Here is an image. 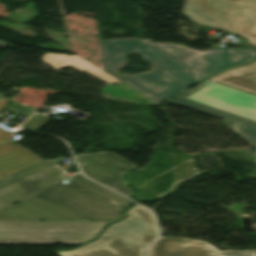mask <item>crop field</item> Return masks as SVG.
<instances>
[{"label":"crop field","instance_id":"3","mask_svg":"<svg viewBox=\"0 0 256 256\" xmlns=\"http://www.w3.org/2000/svg\"><path fill=\"white\" fill-rule=\"evenodd\" d=\"M168 102L233 121V132L256 147V96L205 80Z\"/></svg>","mask_w":256,"mask_h":256},{"label":"crop field","instance_id":"4","mask_svg":"<svg viewBox=\"0 0 256 256\" xmlns=\"http://www.w3.org/2000/svg\"><path fill=\"white\" fill-rule=\"evenodd\" d=\"M157 237L153 217L135 205L128 218L109 226L98 240L71 251H58L59 256H142L147 243Z\"/></svg>","mask_w":256,"mask_h":256},{"label":"crop field","instance_id":"16","mask_svg":"<svg viewBox=\"0 0 256 256\" xmlns=\"http://www.w3.org/2000/svg\"><path fill=\"white\" fill-rule=\"evenodd\" d=\"M10 135H11V133H9L3 129H0V142L8 140Z\"/></svg>","mask_w":256,"mask_h":256},{"label":"crop field","instance_id":"17","mask_svg":"<svg viewBox=\"0 0 256 256\" xmlns=\"http://www.w3.org/2000/svg\"><path fill=\"white\" fill-rule=\"evenodd\" d=\"M8 100H9V98H2V99L0 100V110H1V108L5 105V103H6Z\"/></svg>","mask_w":256,"mask_h":256},{"label":"crop field","instance_id":"12","mask_svg":"<svg viewBox=\"0 0 256 256\" xmlns=\"http://www.w3.org/2000/svg\"><path fill=\"white\" fill-rule=\"evenodd\" d=\"M41 60L54 67L56 71L64 67L70 66L77 70L89 72L90 74L107 84L119 82L116 80V78L104 73L103 71L91 65L79 56H67L62 54L46 53L42 56Z\"/></svg>","mask_w":256,"mask_h":256},{"label":"crop field","instance_id":"10","mask_svg":"<svg viewBox=\"0 0 256 256\" xmlns=\"http://www.w3.org/2000/svg\"><path fill=\"white\" fill-rule=\"evenodd\" d=\"M41 160L14 141L0 143V179Z\"/></svg>","mask_w":256,"mask_h":256},{"label":"crop field","instance_id":"14","mask_svg":"<svg viewBox=\"0 0 256 256\" xmlns=\"http://www.w3.org/2000/svg\"><path fill=\"white\" fill-rule=\"evenodd\" d=\"M37 108L29 107L20 103H16L11 101L10 104L7 106L5 111L11 112V113H21L24 115L29 116L32 114Z\"/></svg>","mask_w":256,"mask_h":256},{"label":"crop field","instance_id":"1","mask_svg":"<svg viewBox=\"0 0 256 256\" xmlns=\"http://www.w3.org/2000/svg\"><path fill=\"white\" fill-rule=\"evenodd\" d=\"M100 45L104 71L159 104L190 84L256 58L253 49L199 52L178 44H152L138 39L111 40ZM125 52L141 53L145 61L154 64L153 72L133 77L116 76L115 69L125 62Z\"/></svg>","mask_w":256,"mask_h":256},{"label":"crop field","instance_id":"7","mask_svg":"<svg viewBox=\"0 0 256 256\" xmlns=\"http://www.w3.org/2000/svg\"><path fill=\"white\" fill-rule=\"evenodd\" d=\"M68 177L49 159L41 160L0 180V210Z\"/></svg>","mask_w":256,"mask_h":256},{"label":"crop field","instance_id":"6","mask_svg":"<svg viewBox=\"0 0 256 256\" xmlns=\"http://www.w3.org/2000/svg\"><path fill=\"white\" fill-rule=\"evenodd\" d=\"M110 222H0V244H78Z\"/></svg>","mask_w":256,"mask_h":256},{"label":"crop field","instance_id":"15","mask_svg":"<svg viewBox=\"0 0 256 256\" xmlns=\"http://www.w3.org/2000/svg\"><path fill=\"white\" fill-rule=\"evenodd\" d=\"M220 256H256V251L221 252Z\"/></svg>","mask_w":256,"mask_h":256},{"label":"crop field","instance_id":"9","mask_svg":"<svg viewBox=\"0 0 256 256\" xmlns=\"http://www.w3.org/2000/svg\"><path fill=\"white\" fill-rule=\"evenodd\" d=\"M220 251L207 242L164 237L149 246L146 256H219Z\"/></svg>","mask_w":256,"mask_h":256},{"label":"crop field","instance_id":"13","mask_svg":"<svg viewBox=\"0 0 256 256\" xmlns=\"http://www.w3.org/2000/svg\"><path fill=\"white\" fill-rule=\"evenodd\" d=\"M51 118H47L42 114H36L30 119H28L23 126L26 129L37 131L40 129L44 124H46Z\"/></svg>","mask_w":256,"mask_h":256},{"label":"crop field","instance_id":"11","mask_svg":"<svg viewBox=\"0 0 256 256\" xmlns=\"http://www.w3.org/2000/svg\"><path fill=\"white\" fill-rule=\"evenodd\" d=\"M210 80L256 95V61L232 68Z\"/></svg>","mask_w":256,"mask_h":256},{"label":"crop field","instance_id":"2","mask_svg":"<svg viewBox=\"0 0 256 256\" xmlns=\"http://www.w3.org/2000/svg\"><path fill=\"white\" fill-rule=\"evenodd\" d=\"M0 211V221H114L132 203L79 173Z\"/></svg>","mask_w":256,"mask_h":256},{"label":"crop field","instance_id":"18","mask_svg":"<svg viewBox=\"0 0 256 256\" xmlns=\"http://www.w3.org/2000/svg\"><path fill=\"white\" fill-rule=\"evenodd\" d=\"M5 44H6L5 42H1V41H0V46H1V45H5Z\"/></svg>","mask_w":256,"mask_h":256},{"label":"crop field","instance_id":"8","mask_svg":"<svg viewBox=\"0 0 256 256\" xmlns=\"http://www.w3.org/2000/svg\"><path fill=\"white\" fill-rule=\"evenodd\" d=\"M75 157L87 163L80 165L84 175L131 198V189L126 188L125 180L121 179V176L124 171L134 168L136 164L112 152ZM94 170L96 172H93Z\"/></svg>","mask_w":256,"mask_h":256},{"label":"crop field","instance_id":"5","mask_svg":"<svg viewBox=\"0 0 256 256\" xmlns=\"http://www.w3.org/2000/svg\"><path fill=\"white\" fill-rule=\"evenodd\" d=\"M190 21L246 37L256 45V0H185Z\"/></svg>","mask_w":256,"mask_h":256}]
</instances>
